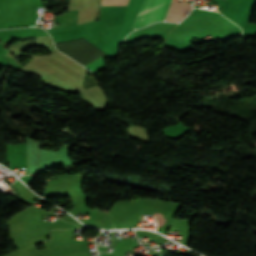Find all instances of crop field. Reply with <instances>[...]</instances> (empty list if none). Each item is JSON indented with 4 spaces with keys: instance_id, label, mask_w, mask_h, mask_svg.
I'll return each instance as SVG.
<instances>
[{
    "instance_id": "1",
    "label": "crop field",
    "mask_w": 256,
    "mask_h": 256,
    "mask_svg": "<svg viewBox=\"0 0 256 256\" xmlns=\"http://www.w3.org/2000/svg\"><path fill=\"white\" fill-rule=\"evenodd\" d=\"M128 0H102L101 5H126ZM170 0H144L139 14L132 27L162 21L165 18Z\"/></svg>"
},
{
    "instance_id": "2",
    "label": "crop field",
    "mask_w": 256,
    "mask_h": 256,
    "mask_svg": "<svg viewBox=\"0 0 256 256\" xmlns=\"http://www.w3.org/2000/svg\"><path fill=\"white\" fill-rule=\"evenodd\" d=\"M192 5L173 2L166 21L179 22L186 17Z\"/></svg>"
}]
</instances>
